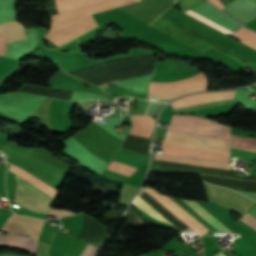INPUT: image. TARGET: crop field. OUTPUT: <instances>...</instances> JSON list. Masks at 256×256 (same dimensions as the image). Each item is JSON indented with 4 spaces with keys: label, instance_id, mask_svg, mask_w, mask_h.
I'll list each match as a JSON object with an SVG mask.
<instances>
[{
    "label": "crop field",
    "instance_id": "730fd06b",
    "mask_svg": "<svg viewBox=\"0 0 256 256\" xmlns=\"http://www.w3.org/2000/svg\"><path fill=\"white\" fill-rule=\"evenodd\" d=\"M1 199V198H0Z\"/></svg>",
    "mask_w": 256,
    "mask_h": 256
},
{
    "label": "crop field",
    "instance_id": "e52e79f7",
    "mask_svg": "<svg viewBox=\"0 0 256 256\" xmlns=\"http://www.w3.org/2000/svg\"><path fill=\"white\" fill-rule=\"evenodd\" d=\"M131 119L132 124L129 133L149 138L151 131L153 129V118L147 115H135L131 116ZM108 169L117 171L128 176L132 175L133 172L137 170V168L120 163L115 160H113Z\"/></svg>",
    "mask_w": 256,
    "mask_h": 256
},
{
    "label": "crop field",
    "instance_id": "dd49c442",
    "mask_svg": "<svg viewBox=\"0 0 256 256\" xmlns=\"http://www.w3.org/2000/svg\"><path fill=\"white\" fill-rule=\"evenodd\" d=\"M205 186L208 195L212 199L242 216L254 203H256L255 201L248 199L233 191L209 184H205Z\"/></svg>",
    "mask_w": 256,
    "mask_h": 256
},
{
    "label": "crop field",
    "instance_id": "ac0d7876",
    "mask_svg": "<svg viewBox=\"0 0 256 256\" xmlns=\"http://www.w3.org/2000/svg\"><path fill=\"white\" fill-rule=\"evenodd\" d=\"M133 2H137V0H110L103 3L52 15V25ZM96 27H98L97 24L95 23L91 15H89L75 20L53 25L50 32L44 38L60 46Z\"/></svg>",
    "mask_w": 256,
    "mask_h": 256
},
{
    "label": "crop field",
    "instance_id": "d1516ede",
    "mask_svg": "<svg viewBox=\"0 0 256 256\" xmlns=\"http://www.w3.org/2000/svg\"><path fill=\"white\" fill-rule=\"evenodd\" d=\"M154 159L178 162V163H185V164H192V165H198V166H205V167H212V168H219V169H226V170H229V166H230V165H226V164L209 163V162L183 159V158L164 156V155H158V154H155Z\"/></svg>",
    "mask_w": 256,
    "mask_h": 256
},
{
    "label": "crop field",
    "instance_id": "92a150f3",
    "mask_svg": "<svg viewBox=\"0 0 256 256\" xmlns=\"http://www.w3.org/2000/svg\"><path fill=\"white\" fill-rule=\"evenodd\" d=\"M6 50V40L5 38L0 34V55L4 56Z\"/></svg>",
    "mask_w": 256,
    "mask_h": 256
},
{
    "label": "crop field",
    "instance_id": "34b2d1b8",
    "mask_svg": "<svg viewBox=\"0 0 256 256\" xmlns=\"http://www.w3.org/2000/svg\"><path fill=\"white\" fill-rule=\"evenodd\" d=\"M10 171L14 172L15 174L19 175L23 179L27 180L28 182H30L31 184H33L40 190L44 191L45 193H47L51 196L54 195L55 189L49 187L42 181L36 179L35 177L31 176L30 174L24 172L23 170L10 164ZM23 179L17 177V184H18L17 186H19L20 188H22L23 190H25L26 192L33 195L34 197H36L37 199H39L40 201H42L43 203H45L46 205L49 206V204L52 200V197L43 193L42 191H40L39 189H37L36 187H34L33 185H31L30 183H28L27 181H25ZM19 187H17V189H16V195H15V200H14L15 203H17L31 211L42 212V213H46V214L49 213V211L51 210L50 207L46 206L45 204H43L36 198L32 197L31 195H29L28 193H26Z\"/></svg>",
    "mask_w": 256,
    "mask_h": 256
},
{
    "label": "crop field",
    "instance_id": "00972430",
    "mask_svg": "<svg viewBox=\"0 0 256 256\" xmlns=\"http://www.w3.org/2000/svg\"><path fill=\"white\" fill-rule=\"evenodd\" d=\"M216 7H218L219 9H224L225 7L222 5V3L219 0H210Z\"/></svg>",
    "mask_w": 256,
    "mask_h": 256
},
{
    "label": "crop field",
    "instance_id": "22f410ed",
    "mask_svg": "<svg viewBox=\"0 0 256 256\" xmlns=\"http://www.w3.org/2000/svg\"><path fill=\"white\" fill-rule=\"evenodd\" d=\"M105 0H86L88 5L102 2ZM86 2L84 0H56L58 12H64L68 10H72L75 8L87 6Z\"/></svg>",
    "mask_w": 256,
    "mask_h": 256
},
{
    "label": "crop field",
    "instance_id": "214f88e0",
    "mask_svg": "<svg viewBox=\"0 0 256 256\" xmlns=\"http://www.w3.org/2000/svg\"><path fill=\"white\" fill-rule=\"evenodd\" d=\"M98 248L88 244L81 256H93L97 252Z\"/></svg>",
    "mask_w": 256,
    "mask_h": 256
},
{
    "label": "crop field",
    "instance_id": "733c2abd",
    "mask_svg": "<svg viewBox=\"0 0 256 256\" xmlns=\"http://www.w3.org/2000/svg\"><path fill=\"white\" fill-rule=\"evenodd\" d=\"M178 5L181 7V9L184 11L191 9L193 7H196L202 3H204V0H176Z\"/></svg>",
    "mask_w": 256,
    "mask_h": 256
},
{
    "label": "crop field",
    "instance_id": "a9b5d70f",
    "mask_svg": "<svg viewBox=\"0 0 256 256\" xmlns=\"http://www.w3.org/2000/svg\"><path fill=\"white\" fill-rule=\"evenodd\" d=\"M6 255H11V256H21V255H17V254H10V253L0 254V256H6Z\"/></svg>",
    "mask_w": 256,
    "mask_h": 256
},
{
    "label": "crop field",
    "instance_id": "d8731c3e",
    "mask_svg": "<svg viewBox=\"0 0 256 256\" xmlns=\"http://www.w3.org/2000/svg\"><path fill=\"white\" fill-rule=\"evenodd\" d=\"M208 88H209V83L205 77L192 84L178 86V87H172V88L150 87L148 97L175 99L189 93L205 91V90H208Z\"/></svg>",
    "mask_w": 256,
    "mask_h": 256
},
{
    "label": "crop field",
    "instance_id": "412701ff",
    "mask_svg": "<svg viewBox=\"0 0 256 256\" xmlns=\"http://www.w3.org/2000/svg\"><path fill=\"white\" fill-rule=\"evenodd\" d=\"M42 223L43 220L40 219L13 215L4 226L3 230L38 239ZM12 233H10L9 236H0V246L25 249L35 253L37 247L36 239Z\"/></svg>",
    "mask_w": 256,
    "mask_h": 256
},
{
    "label": "crop field",
    "instance_id": "bc2a9ffb",
    "mask_svg": "<svg viewBox=\"0 0 256 256\" xmlns=\"http://www.w3.org/2000/svg\"><path fill=\"white\" fill-rule=\"evenodd\" d=\"M239 221H241L242 223L246 224L247 226L256 231V218H254L250 214L247 213V215L244 216Z\"/></svg>",
    "mask_w": 256,
    "mask_h": 256
},
{
    "label": "crop field",
    "instance_id": "d9b57169",
    "mask_svg": "<svg viewBox=\"0 0 256 256\" xmlns=\"http://www.w3.org/2000/svg\"><path fill=\"white\" fill-rule=\"evenodd\" d=\"M185 13L194 17V18H196V19H198V20H200V21H202V22H204V23H206V24H208V25H210V26H212V27H214V28H216V29H218V30H220V31H222V32H224V33H226V34L230 35V34L233 33V32H231V31H229V30L211 22L210 20H208V19H206V18H204V17H202V16H200V15H198V14H196V13L190 11V10L185 12Z\"/></svg>",
    "mask_w": 256,
    "mask_h": 256
},
{
    "label": "crop field",
    "instance_id": "dafd665d",
    "mask_svg": "<svg viewBox=\"0 0 256 256\" xmlns=\"http://www.w3.org/2000/svg\"><path fill=\"white\" fill-rule=\"evenodd\" d=\"M50 214L51 215H56V216H63V215H69V214H74V213H71V212L66 211V210H55V209H52Z\"/></svg>",
    "mask_w": 256,
    "mask_h": 256
},
{
    "label": "crop field",
    "instance_id": "cbeb9de0",
    "mask_svg": "<svg viewBox=\"0 0 256 256\" xmlns=\"http://www.w3.org/2000/svg\"><path fill=\"white\" fill-rule=\"evenodd\" d=\"M232 147L256 153V139L233 136Z\"/></svg>",
    "mask_w": 256,
    "mask_h": 256
},
{
    "label": "crop field",
    "instance_id": "3316defc",
    "mask_svg": "<svg viewBox=\"0 0 256 256\" xmlns=\"http://www.w3.org/2000/svg\"><path fill=\"white\" fill-rule=\"evenodd\" d=\"M0 32L5 36L8 43L27 39L24 26L18 21L1 23Z\"/></svg>",
    "mask_w": 256,
    "mask_h": 256
},
{
    "label": "crop field",
    "instance_id": "4177f3b9",
    "mask_svg": "<svg viewBox=\"0 0 256 256\" xmlns=\"http://www.w3.org/2000/svg\"><path fill=\"white\" fill-rule=\"evenodd\" d=\"M216 256H224V255H222V254L219 253V254H217Z\"/></svg>",
    "mask_w": 256,
    "mask_h": 256
},
{
    "label": "crop field",
    "instance_id": "8a807250",
    "mask_svg": "<svg viewBox=\"0 0 256 256\" xmlns=\"http://www.w3.org/2000/svg\"><path fill=\"white\" fill-rule=\"evenodd\" d=\"M172 119L230 129V127L223 126L214 121L199 118L196 116L173 115ZM167 134L230 144V130L173 120H171L170 122ZM169 135L165 136L163 144L226 154H229L230 152V145L227 144L175 137ZM165 145L161 146L164 147L162 153L229 163V155L226 154L178 148Z\"/></svg>",
    "mask_w": 256,
    "mask_h": 256
},
{
    "label": "crop field",
    "instance_id": "5a996713",
    "mask_svg": "<svg viewBox=\"0 0 256 256\" xmlns=\"http://www.w3.org/2000/svg\"><path fill=\"white\" fill-rule=\"evenodd\" d=\"M235 92L236 91L190 95V96L181 98L179 100H176L170 104L173 107V109H176V108L190 106V105L199 104L203 102L231 99L234 97Z\"/></svg>",
    "mask_w": 256,
    "mask_h": 256
},
{
    "label": "crop field",
    "instance_id": "4a817a6b",
    "mask_svg": "<svg viewBox=\"0 0 256 256\" xmlns=\"http://www.w3.org/2000/svg\"><path fill=\"white\" fill-rule=\"evenodd\" d=\"M13 211L19 214H24V215H29V216H34V217H39L45 219L47 215L41 214V213H36V212H31L23 207H20L18 205H12L11 206Z\"/></svg>",
    "mask_w": 256,
    "mask_h": 256
},
{
    "label": "crop field",
    "instance_id": "f4fd0767",
    "mask_svg": "<svg viewBox=\"0 0 256 256\" xmlns=\"http://www.w3.org/2000/svg\"><path fill=\"white\" fill-rule=\"evenodd\" d=\"M90 152L109 163L115 155L121 139L107 132L95 123L74 135Z\"/></svg>",
    "mask_w": 256,
    "mask_h": 256
},
{
    "label": "crop field",
    "instance_id": "28ad6ade",
    "mask_svg": "<svg viewBox=\"0 0 256 256\" xmlns=\"http://www.w3.org/2000/svg\"><path fill=\"white\" fill-rule=\"evenodd\" d=\"M182 201L186 205H188L191 209H193L196 213H198L201 217H203L218 231H225L227 233L231 232L229 229H227L223 224H221L217 219H215L211 214H209L205 209H203L195 201H185V200H182Z\"/></svg>",
    "mask_w": 256,
    "mask_h": 256
},
{
    "label": "crop field",
    "instance_id": "5142ce71",
    "mask_svg": "<svg viewBox=\"0 0 256 256\" xmlns=\"http://www.w3.org/2000/svg\"><path fill=\"white\" fill-rule=\"evenodd\" d=\"M133 204L136 205L137 207H139L140 209H142L143 211H145L146 213H148L150 216H152V217H154V218H156V219H158V220H160L162 222L171 224L164 217H162L159 213H157L152 207H150L139 196L137 197V199L134 201Z\"/></svg>",
    "mask_w": 256,
    "mask_h": 256
}]
</instances>
